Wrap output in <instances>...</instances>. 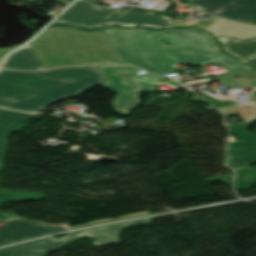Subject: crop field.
Segmentation results:
<instances>
[{"label":"crop field","mask_w":256,"mask_h":256,"mask_svg":"<svg viewBox=\"0 0 256 256\" xmlns=\"http://www.w3.org/2000/svg\"><path fill=\"white\" fill-rule=\"evenodd\" d=\"M56 1H58V2H66V3H70V2H72L73 0H56Z\"/></svg>","instance_id":"92a150f3"},{"label":"crop field","mask_w":256,"mask_h":256,"mask_svg":"<svg viewBox=\"0 0 256 256\" xmlns=\"http://www.w3.org/2000/svg\"><path fill=\"white\" fill-rule=\"evenodd\" d=\"M32 116L33 114L0 109V165L3 163L7 148L6 139L11 131V128L19 123L22 119L30 118Z\"/></svg>","instance_id":"22f410ed"},{"label":"crop field","mask_w":256,"mask_h":256,"mask_svg":"<svg viewBox=\"0 0 256 256\" xmlns=\"http://www.w3.org/2000/svg\"><path fill=\"white\" fill-rule=\"evenodd\" d=\"M54 23H65L85 28L108 24L164 28L172 27L173 19L166 16L164 12L149 11L132 6H124L117 12L78 0L56 19Z\"/></svg>","instance_id":"412701ff"},{"label":"crop field","mask_w":256,"mask_h":256,"mask_svg":"<svg viewBox=\"0 0 256 256\" xmlns=\"http://www.w3.org/2000/svg\"><path fill=\"white\" fill-rule=\"evenodd\" d=\"M14 219H19V218H14ZM10 220H13V219H10ZM7 221V220H6Z\"/></svg>","instance_id":"dafd665d"},{"label":"crop field","mask_w":256,"mask_h":256,"mask_svg":"<svg viewBox=\"0 0 256 256\" xmlns=\"http://www.w3.org/2000/svg\"><path fill=\"white\" fill-rule=\"evenodd\" d=\"M217 16L256 24V4Z\"/></svg>","instance_id":"cbeb9de0"},{"label":"crop field","mask_w":256,"mask_h":256,"mask_svg":"<svg viewBox=\"0 0 256 256\" xmlns=\"http://www.w3.org/2000/svg\"><path fill=\"white\" fill-rule=\"evenodd\" d=\"M246 124L226 125L242 140L231 142L227 148L226 162L230 167H247L251 162H256V135L245 131Z\"/></svg>","instance_id":"d8731c3e"},{"label":"crop field","mask_w":256,"mask_h":256,"mask_svg":"<svg viewBox=\"0 0 256 256\" xmlns=\"http://www.w3.org/2000/svg\"><path fill=\"white\" fill-rule=\"evenodd\" d=\"M2 168V166H0V169Z\"/></svg>","instance_id":"00972430"},{"label":"crop field","mask_w":256,"mask_h":256,"mask_svg":"<svg viewBox=\"0 0 256 256\" xmlns=\"http://www.w3.org/2000/svg\"><path fill=\"white\" fill-rule=\"evenodd\" d=\"M31 46L44 68L118 61L101 29L84 32L71 27H51Z\"/></svg>","instance_id":"34b2d1b8"},{"label":"crop field","mask_w":256,"mask_h":256,"mask_svg":"<svg viewBox=\"0 0 256 256\" xmlns=\"http://www.w3.org/2000/svg\"><path fill=\"white\" fill-rule=\"evenodd\" d=\"M225 88H243V86L249 85L253 88H256V79L244 80V81H233L221 83Z\"/></svg>","instance_id":"733c2abd"},{"label":"crop field","mask_w":256,"mask_h":256,"mask_svg":"<svg viewBox=\"0 0 256 256\" xmlns=\"http://www.w3.org/2000/svg\"><path fill=\"white\" fill-rule=\"evenodd\" d=\"M148 222H153V220L149 218L138 221L88 229L84 231L67 234L61 239H56L53 237L42 239L40 241L33 242L30 244L2 250L0 251V256H40L82 235L95 238V245L118 242L117 234L119 231L128 226L140 225Z\"/></svg>","instance_id":"dd49c442"},{"label":"crop field","mask_w":256,"mask_h":256,"mask_svg":"<svg viewBox=\"0 0 256 256\" xmlns=\"http://www.w3.org/2000/svg\"><path fill=\"white\" fill-rule=\"evenodd\" d=\"M105 80L102 86L118 92L112 102L113 110L127 115L139 102L140 90H157L160 78L149 73L137 74L138 68L125 65L99 66Z\"/></svg>","instance_id":"f4fd0767"},{"label":"crop field","mask_w":256,"mask_h":256,"mask_svg":"<svg viewBox=\"0 0 256 256\" xmlns=\"http://www.w3.org/2000/svg\"><path fill=\"white\" fill-rule=\"evenodd\" d=\"M145 214H148V213L146 211H143V212H138V213L126 215V216H123L121 218H127V217H133V216H139V215H145ZM121 218H115V219H121ZM115 219L96 220V221H92V222H89V223H86V224H83V225L94 224V223H99V222H104V221H109V220H115ZM83 225H80V226H83ZM73 227H78V226H70V228H73Z\"/></svg>","instance_id":"4a817a6b"},{"label":"crop field","mask_w":256,"mask_h":256,"mask_svg":"<svg viewBox=\"0 0 256 256\" xmlns=\"http://www.w3.org/2000/svg\"><path fill=\"white\" fill-rule=\"evenodd\" d=\"M256 183V168L237 169L236 189H250Z\"/></svg>","instance_id":"5142ce71"},{"label":"crop field","mask_w":256,"mask_h":256,"mask_svg":"<svg viewBox=\"0 0 256 256\" xmlns=\"http://www.w3.org/2000/svg\"><path fill=\"white\" fill-rule=\"evenodd\" d=\"M183 26H197L212 32L215 37L225 35L242 39L256 36L255 25H248L219 17H214L211 20H174V28Z\"/></svg>","instance_id":"e52e79f7"},{"label":"crop field","mask_w":256,"mask_h":256,"mask_svg":"<svg viewBox=\"0 0 256 256\" xmlns=\"http://www.w3.org/2000/svg\"><path fill=\"white\" fill-rule=\"evenodd\" d=\"M102 30L121 63L139 66L160 76L176 72L172 64L178 62L194 65L222 63L228 73L255 69L221 53L220 46L215 44L211 34L196 28L161 31L137 28ZM165 41L170 45L164 46Z\"/></svg>","instance_id":"8a807250"},{"label":"crop field","mask_w":256,"mask_h":256,"mask_svg":"<svg viewBox=\"0 0 256 256\" xmlns=\"http://www.w3.org/2000/svg\"><path fill=\"white\" fill-rule=\"evenodd\" d=\"M103 82L97 66L39 72L0 70V107L33 112Z\"/></svg>","instance_id":"ac0d7876"},{"label":"crop field","mask_w":256,"mask_h":256,"mask_svg":"<svg viewBox=\"0 0 256 256\" xmlns=\"http://www.w3.org/2000/svg\"><path fill=\"white\" fill-rule=\"evenodd\" d=\"M223 50L238 58L239 61L256 66V38L251 40H235L219 37ZM216 39V40H217Z\"/></svg>","instance_id":"3316defc"},{"label":"crop field","mask_w":256,"mask_h":256,"mask_svg":"<svg viewBox=\"0 0 256 256\" xmlns=\"http://www.w3.org/2000/svg\"><path fill=\"white\" fill-rule=\"evenodd\" d=\"M20 45V44H19ZM18 47V46H17ZM16 48V47H14ZM13 48H5V49H0V59L2 57V54H5L6 52L12 50Z\"/></svg>","instance_id":"214f88e0"},{"label":"crop field","mask_w":256,"mask_h":256,"mask_svg":"<svg viewBox=\"0 0 256 256\" xmlns=\"http://www.w3.org/2000/svg\"><path fill=\"white\" fill-rule=\"evenodd\" d=\"M227 178V179H224ZM233 178V173L230 174H226V175H220V176H216V177H211V178H207V180H221L225 183H231Z\"/></svg>","instance_id":"bc2a9ffb"},{"label":"crop field","mask_w":256,"mask_h":256,"mask_svg":"<svg viewBox=\"0 0 256 256\" xmlns=\"http://www.w3.org/2000/svg\"><path fill=\"white\" fill-rule=\"evenodd\" d=\"M0 68L32 70L43 69V66L29 44L8 56Z\"/></svg>","instance_id":"d1516ede"},{"label":"crop field","mask_w":256,"mask_h":256,"mask_svg":"<svg viewBox=\"0 0 256 256\" xmlns=\"http://www.w3.org/2000/svg\"><path fill=\"white\" fill-rule=\"evenodd\" d=\"M186 3L210 14H221L252 5L256 0H184Z\"/></svg>","instance_id":"28ad6ade"},{"label":"crop field","mask_w":256,"mask_h":256,"mask_svg":"<svg viewBox=\"0 0 256 256\" xmlns=\"http://www.w3.org/2000/svg\"><path fill=\"white\" fill-rule=\"evenodd\" d=\"M1 223L4 225L0 226V244L42 233L67 229L66 227H48L28 220H13Z\"/></svg>","instance_id":"5a996713"},{"label":"crop field","mask_w":256,"mask_h":256,"mask_svg":"<svg viewBox=\"0 0 256 256\" xmlns=\"http://www.w3.org/2000/svg\"><path fill=\"white\" fill-rule=\"evenodd\" d=\"M14 197L13 199H10ZM44 197L41 192H19L15 190L0 191V205L5 201L39 199Z\"/></svg>","instance_id":"d9b57169"}]
</instances>
